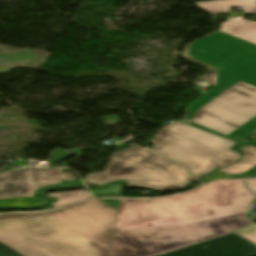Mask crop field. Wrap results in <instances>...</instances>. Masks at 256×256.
I'll use <instances>...</instances> for the list:
<instances>
[{
    "mask_svg": "<svg viewBox=\"0 0 256 256\" xmlns=\"http://www.w3.org/2000/svg\"><path fill=\"white\" fill-rule=\"evenodd\" d=\"M164 128L180 134L186 138L196 141L204 146H207L215 151L222 154L228 155L235 159H241L240 154L229 150L235 143L224 138L218 137L211 133L205 132L203 130L197 129L192 126H188L182 122L176 121L175 123L169 124ZM165 129V130H166Z\"/></svg>",
    "mask_w": 256,
    "mask_h": 256,
    "instance_id": "8",
    "label": "crop field"
},
{
    "mask_svg": "<svg viewBox=\"0 0 256 256\" xmlns=\"http://www.w3.org/2000/svg\"><path fill=\"white\" fill-rule=\"evenodd\" d=\"M221 31L256 44V22L239 18L228 19L221 24Z\"/></svg>",
    "mask_w": 256,
    "mask_h": 256,
    "instance_id": "10",
    "label": "crop field"
},
{
    "mask_svg": "<svg viewBox=\"0 0 256 256\" xmlns=\"http://www.w3.org/2000/svg\"><path fill=\"white\" fill-rule=\"evenodd\" d=\"M240 150L244 152V158L242 161L219 170L226 173H230V174H240L255 167L256 166V148L252 146H246L241 148Z\"/></svg>",
    "mask_w": 256,
    "mask_h": 256,
    "instance_id": "11",
    "label": "crop field"
},
{
    "mask_svg": "<svg viewBox=\"0 0 256 256\" xmlns=\"http://www.w3.org/2000/svg\"><path fill=\"white\" fill-rule=\"evenodd\" d=\"M192 44V62L218 73L216 88L190 105L194 126L229 140L255 136L256 45L221 31Z\"/></svg>",
    "mask_w": 256,
    "mask_h": 256,
    "instance_id": "2",
    "label": "crop field"
},
{
    "mask_svg": "<svg viewBox=\"0 0 256 256\" xmlns=\"http://www.w3.org/2000/svg\"><path fill=\"white\" fill-rule=\"evenodd\" d=\"M156 132V137L151 139L155 147L151 150L189 167L197 178L237 161L163 128Z\"/></svg>",
    "mask_w": 256,
    "mask_h": 256,
    "instance_id": "5",
    "label": "crop field"
},
{
    "mask_svg": "<svg viewBox=\"0 0 256 256\" xmlns=\"http://www.w3.org/2000/svg\"><path fill=\"white\" fill-rule=\"evenodd\" d=\"M193 114H195V112L189 110V108H188L187 113H186V117H185V119L182 120V122H184V123H186L188 125H192L193 126L192 119H191V116Z\"/></svg>",
    "mask_w": 256,
    "mask_h": 256,
    "instance_id": "18",
    "label": "crop field"
},
{
    "mask_svg": "<svg viewBox=\"0 0 256 256\" xmlns=\"http://www.w3.org/2000/svg\"><path fill=\"white\" fill-rule=\"evenodd\" d=\"M12 69H14V67H9V66L0 67V74L8 72V71H10Z\"/></svg>",
    "mask_w": 256,
    "mask_h": 256,
    "instance_id": "21",
    "label": "crop field"
},
{
    "mask_svg": "<svg viewBox=\"0 0 256 256\" xmlns=\"http://www.w3.org/2000/svg\"><path fill=\"white\" fill-rule=\"evenodd\" d=\"M190 46H192V45L190 44V45H188V46L186 47L185 52H184V54H183V56H184L187 60H189V61H190L191 59H193V58L190 57V56H188V55H185V54L192 50V49L189 48Z\"/></svg>",
    "mask_w": 256,
    "mask_h": 256,
    "instance_id": "20",
    "label": "crop field"
},
{
    "mask_svg": "<svg viewBox=\"0 0 256 256\" xmlns=\"http://www.w3.org/2000/svg\"><path fill=\"white\" fill-rule=\"evenodd\" d=\"M162 256H256V245L232 233Z\"/></svg>",
    "mask_w": 256,
    "mask_h": 256,
    "instance_id": "7",
    "label": "crop field"
},
{
    "mask_svg": "<svg viewBox=\"0 0 256 256\" xmlns=\"http://www.w3.org/2000/svg\"><path fill=\"white\" fill-rule=\"evenodd\" d=\"M118 179L127 180L126 186L156 190L180 188L194 180L185 167L137 146L112 155L105 171L88 175L86 182L104 185Z\"/></svg>",
    "mask_w": 256,
    "mask_h": 256,
    "instance_id": "4",
    "label": "crop field"
},
{
    "mask_svg": "<svg viewBox=\"0 0 256 256\" xmlns=\"http://www.w3.org/2000/svg\"><path fill=\"white\" fill-rule=\"evenodd\" d=\"M62 171L63 169L26 168L4 172L0 174V198L32 196L38 187L59 183L61 179H73L71 173L62 174Z\"/></svg>",
    "mask_w": 256,
    "mask_h": 256,
    "instance_id": "6",
    "label": "crop field"
},
{
    "mask_svg": "<svg viewBox=\"0 0 256 256\" xmlns=\"http://www.w3.org/2000/svg\"><path fill=\"white\" fill-rule=\"evenodd\" d=\"M116 214L94 200L52 212L0 215V256H108Z\"/></svg>",
    "mask_w": 256,
    "mask_h": 256,
    "instance_id": "3",
    "label": "crop field"
},
{
    "mask_svg": "<svg viewBox=\"0 0 256 256\" xmlns=\"http://www.w3.org/2000/svg\"><path fill=\"white\" fill-rule=\"evenodd\" d=\"M255 194L241 181L208 184L181 196L120 199L109 256H158L249 225Z\"/></svg>",
    "mask_w": 256,
    "mask_h": 256,
    "instance_id": "1",
    "label": "crop field"
},
{
    "mask_svg": "<svg viewBox=\"0 0 256 256\" xmlns=\"http://www.w3.org/2000/svg\"><path fill=\"white\" fill-rule=\"evenodd\" d=\"M52 159L49 160L50 165L58 163L64 159H66L67 157L73 155L71 154L69 151L66 150H60V149H55L51 152H49Z\"/></svg>",
    "mask_w": 256,
    "mask_h": 256,
    "instance_id": "14",
    "label": "crop field"
},
{
    "mask_svg": "<svg viewBox=\"0 0 256 256\" xmlns=\"http://www.w3.org/2000/svg\"><path fill=\"white\" fill-rule=\"evenodd\" d=\"M247 186L256 193V179L254 180H246Z\"/></svg>",
    "mask_w": 256,
    "mask_h": 256,
    "instance_id": "19",
    "label": "crop field"
},
{
    "mask_svg": "<svg viewBox=\"0 0 256 256\" xmlns=\"http://www.w3.org/2000/svg\"><path fill=\"white\" fill-rule=\"evenodd\" d=\"M93 147H90V148H84V149H78V150H73L71 151L74 155L76 156H81V150H85V149H91Z\"/></svg>",
    "mask_w": 256,
    "mask_h": 256,
    "instance_id": "22",
    "label": "crop field"
},
{
    "mask_svg": "<svg viewBox=\"0 0 256 256\" xmlns=\"http://www.w3.org/2000/svg\"><path fill=\"white\" fill-rule=\"evenodd\" d=\"M237 232L256 244V224L245 229L237 230Z\"/></svg>",
    "mask_w": 256,
    "mask_h": 256,
    "instance_id": "15",
    "label": "crop field"
},
{
    "mask_svg": "<svg viewBox=\"0 0 256 256\" xmlns=\"http://www.w3.org/2000/svg\"><path fill=\"white\" fill-rule=\"evenodd\" d=\"M200 9L210 13L214 20L221 12L229 13L228 17H234L240 14H236L230 10V7L241 6L245 13H256L255 0H217L209 2L195 3Z\"/></svg>",
    "mask_w": 256,
    "mask_h": 256,
    "instance_id": "9",
    "label": "crop field"
},
{
    "mask_svg": "<svg viewBox=\"0 0 256 256\" xmlns=\"http://www.w3.org/2000/svg\"><path fill=\"white\" fill-rule=\"evenodd\" d=\"M218 171H219V170H218ZM218 171L215 172L214 174H212V175L206 177V178L201 179V180H200L201 183H202V184H205V183H207V182H209V181H211V180H215V179H219V178H232L231 176L222 174V173H220V172H218Z\"/></svg>",
    "mask_w": 256,
    "mask_h": 256,
    "instance_id": "16",
    "label": "crop field"
},
{
    "mask_svg": "<svg viewBox=\"0 0 256 256\" xmlns=\"http://www.w3.org/2000/svg\"><path fill=\"white\" fill-rule=\"evenodd\" d=\"M101 119L104 122L105 126L113 125L119 122L115 116H106L102 117Z\"/></svg>",
    "mask_w": 256,
    "mask_h": 256,
    "instance_id": "17",
    "label": "crop field"
},
{
    "mask_svg": "<svg viewBox=\"0 0 256 256\" xmlns=\"http://www.w3.org/2000/svg\"><path fill=\"white\" fill-rule=\"evenodd\" d=\"M68 183L69 185H73V184H82L83 182L81 183L80 180H68ZM37 190L34 191L33 197L0 199V206L22 207V206L40 205V204L46 203L45 199L35 197V192Z\"/></svg>",
    "mask_w": 256,
    "mask_h": 256,
    "instance_id": "12",
    "label": "crop field"
},
{
    "mask_svg": "<svg viewBox=\"0 0 256 256\" xmlns=\"http://www.w3.org/2000/svg\"><path fill=\"white\" fill-rule=\"evenodd\" d=\"M51 196L59 198L57 202L52 204L55 207L80 201L82 199L92 198L89 192L87 191H69V192H62V193H54Z\"/></svg>",
    "mask_w": 256,
    "mask_h": 256,
    "instance_id": "13",
    "label": "crop field"
}]
</instances>
